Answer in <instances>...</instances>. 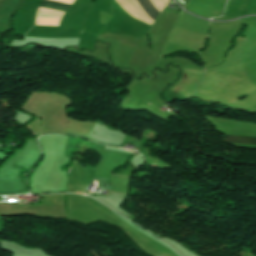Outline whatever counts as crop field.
<instances>
[{
    "label": "crop field",
    "mask_w": 256,
    "mask_h": 256,
    "mask_svg": "<svg viewBox=\"0 0 256 256\" xmlns=\"http://www.w3.org/2000/svg\"><path fill=\"white\" fill-rule=\"evenodd\" d=\"M139 5L142 7V9L146 12V14L149 16V18L152 20V22L155 21L157 17V12L149 2V0H136Z\"/></svg>",
    "instance_id": "obj_1"
},
{
    "label": "crop field",
    "mask_w": 256,
    "mask_h": 256,
    "mask_svg": "<svg viewBox=\"0 0 256 256\" xmlns=\"http://www.w3.org/2000/svg\"><path fill=\"white\" fill-rule=\"evenodd\" d=\"M42 7H46V8H50V9H55V10H59V11H63L66 12V10L71 6L69 4H63V3H57V2H53V1H47V0H43Z\"/></svg>",
    "instance_id": "obj_2"
},
{
    "label": "crop field",
    "mask_w": 256,
    "mask_h": 256,
    "mask_svg": "<svg viewBox=\"0 0 256 256\" xmlns=\"http://www.w3.org/2000/svg\"><path fill=\"white\" fill-rule=\"evenodd\" d=\"M225 139L231 141L232 143L240 144H256V138H246V137H230L225 136Z\"/></svg>",
    "instance_id": "obj_3"
},
{
    "label": "crop field",
    "mask_w": 256,
    "mask_h": 256,
    "mask_svg": "<svg viewBox=\"0 0 256 256\" xmlns=\"http://www.w3.org/2000/svg\"><path fill=\"white\" fill-rule=\"evenodd\" d=\"M128 152V151H127Z\"/></svg>",
    "instance_id": "obj_4"
}]
</instances>
